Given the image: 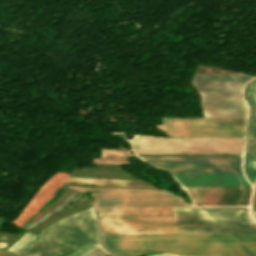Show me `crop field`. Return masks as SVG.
Listing matches in <instances>:
<instances>
[{
    "mask_svg": "<svg viewBox=\"0 0 256 256\" xmlns=\"http://www.w3.org/2000/svg\"><path fill=\"white\" fill-rule=\"evenodd\" d=\"M105 256H112V255L108 254V255H105Z\"/></svg>",
    "mask_w": 256,
    "mask_h": 256,
    "instance_id": "crop-field-27",
    "label": "crop field"
},
{
    "mask_svg": "<svg viewBox=\"0 0 256 256\" xmlns=\"http://www.w3.org/2000/svg\"><path fill=\"white\" fill-rule=\"evenodd\" d=\"M249 88L252 91L256 92V78L251 82ZM249 88H248L247 96H249L250 98L256 101V95L252 91H250Z\"/></svg>",
    "mask_w": 256,
    "mask_h": 256,
    "instance_id": "crop-field-22",
    "label": "crop field"
},
{
    "mask_svg": "<svg viewBox=\"0 0 256 256\" xmlns=\"http://www.w3.org/2000/svg\"><path fill=\"white\" fill-rule=\"evenodd\" d=\"M255 195H256V193H255Z\"/></svg>",
    "mask_w": 256,
    "mask_h": 256,
    "instance_id": "crop-field-29",
    "label": "crop field"
},
{
    "mask_svg": "<svg viewBox=\"0 0 256 256\" xmlns=\"http://www.w3.org/2000/svg\"><path fill=\"white\" fill-rule=\"evenodd\" d=\"M76 189L105 191L89 193L93 196L97 208L192 207L184 204L179 198L161 191Z\"/></svg>",
    "mask_w": 256,
    "mask_h": 256,
    "instance_id": "crop-field-4",
    "label": "crop field"
},
{
    "mask_svg": "<svg viewBox=\"0 0 256 256\" xmlns=\"http://www.w3.org/2000/svg\"><path fill=\"white\" fill-rule=\"evenodd\" d=\"M100 152H101V157L128 156V155H131L130 154V150H126V149H101Z\"/></svg>",
    "mask_w": 256,
    "mask_h": 256,
    "instance_id": "crop-field-19",
    "label": "crop field"
},
{
    "mask_svg": "<svg viewBox=\"0 0 256 256\" xmlns=\"http://www.w3.org/2000/svg\"><path fill=\"white\" fill-rule=\"evenodd\" d=\"M101 237L104 247L122 256L170 251L182 256L256 255V233L138 234ZM153 256L179 255L171 252Z\"/></svg>",
    "mask_w": 256,
    "mask_h": 256,
    "instance_id": "crop-field-2",
    "label": "crop field"
},
{
    "mask_svg": "<svg viewBox=\"0 0 256 256\" xmlns=\"http://www.w3.org/2000/svg\"><path fill=\"white\" fill-rule=\"evenodd\" d=\"M183 187L250 186L243 174L174 175Z\"/></svg>",
    "mask_w": 256,
    "mask_h": 256,
    "instance_id": "crop-field-12",
    "label": "crop field"
},
{
    "mask_svg": "<svg viewBox=\"0 0 256 256\" xmlns=\"http://www.w3.org/2000/svg\"><path fill=\"white\" fill-rule=\"evenodd\" d=\"M170 137L244 136L245 125L156 126Z\"/></svg>",
    "mask_w": 256,
    "mask_h": 256,
    "instance_id": "crop-field-10",
    "label": "crop field"
},
{
    "mask_svg": "<svg viewBox=\"0 0 256 256\" xmlns=\"http://www.w3.org/2000/svg\"><path fill=\"white\" fill-rule=\"evenodd\" d=\"M171 174L242 173L241 158L143 159Z\"/></svg>",
    "mask_w": 256,
    "mask_h": 256,
    "instance_id": "crop-field-5",
    "label": "crop field"
},
{
    "mask_svg": "<svg viewBox=\"0 0 256 256\" xmlns=\"http://www.w3.org/2000/svg\"><path fill=\"white\" fill-rule=\"evenodd\" d=\"M0 256H18V255L0 251Z\"/></svg>",
    "mask_w": 256,
    "mask_h": 256,
    "instance_id": "crop-field-25",
    "label": "crop field"
},
{
    "mask_svg": "<svg viewBox=\"0 0 256 256\" xmlns=\"http://www.w3.org/2000/svg\"><path fill=\"white\" fill-rule=\"evenodd\" d=\"M245 118H224V119H163L162 125H203V124H245Z\"/></svg>",
    "mask_w": 256,
    "mask_h": 256,
    "instance_id": "crop-field-15",
    "label": "crop field"
},
{
    "mask_svg": "<svg viewBox=\"0 0 256 256\" xmlns=\"http://www.w3.org/2000/svg\"><path fill=\"white\" fill-rule=\"evenodd\" d=\"M248 80L192 81L198 92L242 91Z\"/></svg>",
    "mask_w": 256,
    "mask_h": 256,
    "instance_id": "crop-field-13",
    "label": "crop field"
},
{
    "mask_svg": "<svg viewBox=\"0 0 256 256\" xmlns=\"http://www.w3.org/2000/svg\"><path fill=\"white\" fill-rule=\"evenodd\" d=\"M254 210H256V196H255V201H254Z\"/></svg>",
    "mask_w": 256,
    "mask_h": 256,
    "instance_id": "crop-field-26",
    "label": "crop field"
},
{
    "mask_svg": "<svg viewBox=\"0 0 256 256\" xmlns=\"http://www.w3.org/2000/svg\"><path fill=\"white\" fill-rule=\"evenodd\" d=\"M249 135L256 139V112L252 110Z\"/></svg>",
    "mask_w": 256,
    "mask_h": 256,
    "instance_id": "crop-field-20",
    "label": "crop field"
},
{
    "mask_svg": "<svg viewBox=\"0 0 256 256\" xmlns=\"http://www.w3.org/2000/svg\"><path fill=\"white\" fill-rule=\"evenodd\" d=\"M68 174L59 172L52 175L38 190L32 200L23 209L17 219L12 221L17 226L25 223L33 214H35L59 189Z\"/></svg>",
    "mask_w": 256,
    "mask_h": 256,
    "instance_id": "crop-field-11",
    "label": "crop field"
},
{
    "mask_svg": "<svg viewBox=\"0 0 256 256\" xmlns=\"http://www.w3.org/2000/svg\"><path fill=\"white\" fill-rule=\"evenodd\" d=\"M252 76L245 74H215V75H195L193 80H221V79H251Z\"/></svg>",
    "mask_w": 256,
    "mask_h": 256,
    "instance_id": "crop-field-17",
    "label": "crop field"
},
{
    "mask_svg": "<svg viewBox=\"0 0 256 256\" xmlns=\"http://www.w3.org/2000/svg\"><path fill=\"white\" fill-rule=\"evenodd\" d=\"M195 206L248 205L251 187L186 188Z\"/></svg>",
    "mask_w": 256,
    "mask_h": 256,
    "instance_id": "crop-field-8",
    "label": "crop field"
},
{
    "mask_svg": "<svg viewBox=\"0 0 256 256\" xmlns=\"http://www.w3.org/2000/svg\"><path fill=\"white\" fill-rule=\"evenodd\" d=\"M244 137L165 139L135 135V154L242 152Z\"/></svg>",
    "mask_w": 256,
    "mask_h": 256,
    "instance_id": "crop-field-3",
    "label": "crop field"
},
{
    "mask_svg": "<svg viewBox=\"0 0 256 256\" xmlns=\"http://www.w3.org/2000/svg\"><path fill=\"white\" fill-rule=\"evenodd\" d=\"M247 153L256 157V140L254 138H252L251 136H249V139H248Z\"/></svg>",
    "mask_w": 256,
    "mask_h": 256,
    "instance_id": "crop-field-21",
    "label": "crop field"
},
{
    "mask_svg": "<svg viewBox=\"0 0 256 256\" xmlns=\"http://www.w3.org/2000/svg\"><path fill=\"white\" fill-rule=\"evenodd\" d=\"M39 237L22 256H83L90 252L48 227Z\"/></svg>",
    "mask_w": 256,
    "mask_h": 256,
    "instance_id": "crop-field-7",
    "label": "crop field"
},
{
    "mask_svg": "<svg viewBox=\"0 0 256 256\" xmlns=\"http://www.w3.org/2000/svg\"><path fill=\"white\" fill-rule=\"evenodd\" d=\"M64 183L153 188L152 186H150L149 184H147L143 181H129V180H101V179L66 178Z\"/></svg>",
    "mask_w": 256,
    "mask_h": 256,
    "instance_id": "crop-field-14",
    "label": "crop field"
},
{
    "mask_svg": "<svg viewBox=\"0 0 256 256\" xmlns=\"http://www.w3.org/2000/svg\"><path fill=\"white\" fill-rule=\"evenodd\" d=\"M206 117H246L242 92L200 93Z\"/></svg>",
    "mask_w": 256,
    "mask_h": 256,
    "instance_id": "crop-field-9",
    "label": "crop field"
},
{
    "mask_svg": "<svg viewBox=\"0 0 256 256\" xmlns=\"http://www.w3.org/2000/svg\"><path fill=\"white\" fill-rule=\"evenodd\" d=\"M105 254H108V253L104 252L101 247H98L93 252H91L88 256H102Z\"/></svg>",
    "mask_w": 256,
    "mask_h": 256,
    "instance_id": "crop-field-23",
    "label": "crop field"
},
{
    "mask_svg": "<svg viewBox=\"0 0 256 256\" xmlns=\"http://www.w3.org/2000/svg\"><path fill=\"white\" fill-rule=\"evenodd\" d=\"M254 213H255V216H256V211H254Z\"/></svg>",
    "mask_w": 256,
    "mask_h": 256,
    "instance_id": "crop-field-28",
    "label": "crop field"
},
{
    "mask_svg": "<svg viewBox=\"0 0 256 256\" xmlns=\"http://www.w3.org/2000/svg\"><path fill=\"white\" fill-rule=\"evenodd\" d=\"M246 171L248 173V177L251 181H255L256 179V158L247 154L246 159Z\"/></svg>",
    "mask_w": 256,
    "mask_h": 256,
    "instance_id": "crop-field-18",
    "label": "crop field"
},
{
    "mask_svg": "<svg viewBox=\"0 0 256 256\" xmlns=\"http://www.w3.org/2000/svg\"><path fill=\"white\" fill-rule=\"evenodd\" d=\"M101 234L174 233L175 220L252 219L248 207L97 209ZM256 232L253 220L175 221V233Z\"/></svg>",
    "mask_w": 256,
    "mask_h": 256,
    "instance_id": "crop-field-1",
    "label": "crop field"
},
{
    "mask_svg": "<svg viewBox=\"0 0 256 256\" xmlns=\"http://www.w3.org/2000/svg\"><path fill=\"white\" fill-rule=\"evenodd\" d=\"M247 100L250 103L252 109H254L256 111V102L253 101L252 99H250L249 97H247Z\"/></svg>",
    "mask_w": 256,
    "mask_h": 256,
    "instance_id": "crop-field-24",
    "label": "crop field"
},
{
    "mask_svg": "<svg viewBox=\"0 0 256 256\" xmlns=\"http://www.w3.org/2000/svg\"><path fill=\"white\" fill-rule=\"evenodd\" d=\"M242 153L137 155L140 158L241 157Z\"/></svg>",
    "mask_w": 256,
    "mask_h": 256,
    "instance_id": "crop-field-16",
    "label": "crop field"
},
{
    "mask_svg": "<svg viewBox=\"0 0 256 256\" xmlns=\"http://www.w3.org/2000/svg\"><path fill=\"white\" fill-rule=\"evenodd\" d=\"M48 227L90 251L99 245L92 207L65 217Z\"/></svg>",
    "mask_w": 256,
    "mask_h": 256,
    "instance_id": "crop-field-6",
    "label": "crop field"
}]
</instances>
